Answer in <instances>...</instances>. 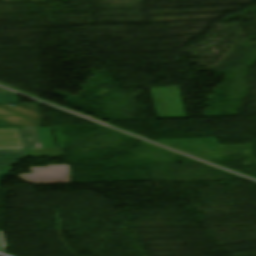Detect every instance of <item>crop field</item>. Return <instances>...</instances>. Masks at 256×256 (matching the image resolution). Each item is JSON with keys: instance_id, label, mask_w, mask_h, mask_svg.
<instances>
[{"instance_id": "crop-field-1", "label": "crop field", "mask_w": 256, "mask_h": 256, "mask_svg": "<svg viewBox=\"0 0 256 256\" xmlns=\"http://www.w3.org/2000/svg\"><path fill=\"white\" fill-rule=\"evenodd\" d=\"M24 150H0V166H11L22 157L62 156L48 128L18 129Z\"/></svg>"}, {"instance_id": "crop-field-2", "label": "crop field", "mask_w": 256, "mask_h": 256, "mask_svg": "<svg viewBox=\"0 0 256 256\" xmlns=\"http://www.w3.org/2000/svg\"><path fill=\"white\" fill-rule=\"evenodd\" d=\"M157 119L187 118L179 87L150 88Z\"/></svg>"}, {"instance_id": "crop-field-3", "label": "crop field", "mask_w": 256, "mask_h": 256, "mask_svg": "<svg viewBox=\"0 0 256 256\" xmlns=\"http://www.w3.org/2000/svg\"><path fill=\"white\" fill-rule=\"evenodd\" d=\"M43 123L36 104L0 105V129L42 127Z\"/></svg>"}, {"instance_id": "crop-field-4", "label": "crop field", "mask_w": 256, "mask_h": 256, "mask_svg": "<svg viewBox=\"0 0 256 256\" xmlns=\"http://www.w3.org/2000/svg\"><path fill=\"white\" fill-rule=\"evenodd\" d=\"M33 174L19 175L30 183L70 182L68 165L30 168Z\"/></svg>"}, {"instance_id": "crop-field-5", "label": "crop field", "mask_w": 256, "mask_h": 256, "mask_svg": "<svg viewBox=\"0 0 256 256\" xmlns=\"http://www.w3.org/2000/svg\"><path fill=\"white\" fill-rule=\"evenodd\" d=\"M0 149H23L17 129L0 130Z\"/></svg>"}, {"instance_id": "crop-field-6", "label": "crop field", "mask_w": 256, "mask_h": 256, "mask_svg": "<svg viewBox=\"0 0 256 256\" xmlns=\"http://www.w3.org/2000/svg\"><path fill=\"white\" fill-rule=\"evenodd\" d=\"M0 103H18L13 94H0Z\"/></svg>"}, {"instance_id": "crop-field-7", "label": "crop field", "mask_w": 256, "mask_h": 256, "mask_svg": "<svg viewBox=\"0 0 256 256\" xmlns=\"http://www.w3.org/2000/svg\"><path fill=\"white\" fill-rule=\"evenodd\" d=\"M10 170H12L10 167H0V180L1 178L7 174Z\"/></svg>"}, {"instance_id": "crop-field-8", "label": "crop field", "mask_w": 256, "mask_h": 256, "mask_svg": "<svg viewBox=\"0 0 256 256\" xmlns=\"http://www.w3.org/2000/svg\"><path fill=\"white\" fill-rule=\"evenodd\" d=\"M1 236H2V233H0V252H2V250H3V245H2V241H1Z\"/></svg>"}, {"instance_id": "crop-field-9", "label": "crop field", "mask_w": 256, "mask_h": 256, "mask_svg": "<svg viewBox=\"0 0 256 256\" xmlns=\"http://www.w3.org/2000/svg\"><path fill=\"white\" fill-rule=\"evenodd\" d=\"M0 93H7V92L0 90Z\"/></svg>"}]
</instances>
